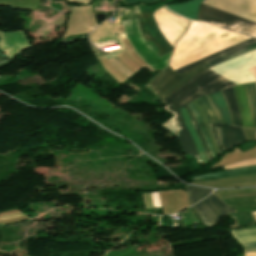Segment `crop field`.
I'll list each match as a JSON object with an SVG mask.
<instances>
[{"instance_id": "1", "label": "crop field", "mask_w": 256, "mask_h": 256, "mask_svg": "<svg viewBox=\"0 0 256 256\" xmlns=\"http://www.w3.org/2000/svg\"><path fill=\"white\" fill-rule=\"evenodd\" d=\"M250 37L222 30L209 24L193 22L179 42L170 66L173 70Z\"/></svg>"}, {"instance_id": "2", "label": "crop field", "mask_w": 256, "mask_h": 256, "mask_svg": "<svg viewBox=\"0 0 256 256\" xmlns=\"http://www.w3.org/2000/svg\"><path fill=\"white\" fill-rule=\"evenodd\" d=\"M253 49H256V41L221 54L204 63L207 64L209 67H212L224 60L251 51ZM204 63L196 66L195 68L191 69L190 71L186 72L181 76L174 73L170 68H166L148 85V87L162 100L171 93H173L175 90H177L179 87H181L192 77L209 68Z\"/></svg>"}, {"instance_id": "3", "label": "crop field", "mask_w": 256, "mask_h": 256, "mask_svg": "<svg viewBox=\"0 0 256 256\" xmlns=\"http://www.w3.org/2000/svg\"><path fill=\"white\" fill-rule=\"evenodd\" d=\"M237 85L215 70L209 68L192 78L173 94L162 100L165 104L172 103L181 108L190 101L203 95Z\"/></svg>"}, {"instance_id": "4", "label": "crop field", "mask_w": 256, "mask_h": 256, "mask_svg": "<svg viewBox=\"0 0 256 256\" xmlns=\"http://www.w3.org/2000/svg\"><path fill=\"white\" fill-rule=\"evenodd\" d=\"M122 23L127 39L139 57L155 70L164 69L172 51L159 57L143 38L137 19Z\"/></svg>"}, {"instance_id": "5", "label": "crop field", "mask_w": 256, "mask_h": 256, "mask_svg": "<svg viewBox=\"0 0 256 256\" xmlns=\"http://www.w3.org/2000/svg\"><path fill=\"white\" fill-rule=\"evenodd\" d=\"M198 18L221 27L256 37V24L210 6L200 5Z\"/></svg>"}, {"instance_id": "6", "label": "crop field", "mask_w": 256, "mask_h": 256, "mask_svg": "<svg viewBox=\"0 0 256 256\" xmlns=\"http://www.w3.org/2000/svg\"><path fill=\"white\" fill-rule=\"evenodd\" d=\"M191 208L207 227L215 226L221 216L235 212L213 193Z\"/></svg>"}, {"instance_id": "7", "label": "crop field", "mask_w": 256, "mask_h": 256, "mask_svg": "<svg viewBox=\"0 0 256 256\" xmlns=\"http://www.w3.org/2000/svg\"><path fill=\"white\" fill-rule=\"evenodd\" d=\"M163 108L166 109L171 114H173L174 116L170 118L162 126L176 135V137L180 142L183 152L195 157L198 163H202L197 154L193 141L190 137V134L186 128V125L182 119V116L179 110L171 104Z\"/></svg>"}, {"instance_id": "8", "label": "crop field", "mask_w": 256, "mask_h": 256, "mask_svg": "<svg viewBox=\"0 0 256 256\" xmlns=\"http://www.w3.org/2000/svg\"><path fill=\"white\" fill-rule=\"evenodd\" d=\"M215 137L220 152L246 142L242 129L223 124L209 125Z\"/></svg>"}, {"instance_id": "9", "label": "crop field", "mask_w": 256, "mask_h": 256, "mask_svg": "<svg viewBox=\"0 0 256 256\" xmlns=\"http://www.w3.org/2000/svg\"><path fill=\"white\" fill-rule=\"evenodd\" d=\"M0 49L12 60L22 50L31 48L23 31L0 32Z\"/></svg>"}, {"instance_id": "10", "label": "crop field", "mask_w": 256, "mask_h": 256, "mask_svg": "<svg viewBox=\"0 0 256 256\" xmlns=\"http://www.w3.org/2000/svg\"><path fill=\"white\" fill-rule=\"evenodd\" d=\"M234 89L242 115L243 127L254 128L244 84L235 86Z\"/></svg>"}, {"instance_id": "11", "label": "crop field", "mask_w": 256, "mask_h": 256, "mask_svg": "<svg viewBox=\"0 0 256 256\" xmlns=\"http://www.w3.org/2000/svg\"><path fill=\"white\" fill-rule=\"evenodd\" d=\"M253 174H256V166L227 170V171H222V172H218L210 175L196 176L194 181L215 180V179L231 178V177L253 175Z\"/></svg>"}, {"instance_id": "12", "label": "crop field", "mask_w": 256, "mask_h": 256, "mask_svg": "<svg viewBox=\"0 0 256 256\" xmlns=\"http://www.w3.org/2000/svg\"><path fill=\"white\" fill-rule=\"evenodd\" d=\"M221 92H222L224 100L231 112L233 125L242 127L241 115H240V111L238 108V104H237V100H236L233 88L232 87L227 88L225 90H222Z\"/></svg>"}, {"instance_id": "13", "label": "crop field", "mask_w": 256, "mask_h": 256, "mask_svg": "<svg viewBox=\"0 0 256 256\" xmlns=\"http://www.w3.org/2000/svg\"><path fill=\"white\" fill-rule=\"evenodd\" d=\"M200 1L201 0H192L184 4L171 5L168 6V8L192 20H198L196 19V15Z\"/></svg>"}, {"instance_id": "14", "label": "crop field", "mask_w": 256, "mask_h": 256, "mask_svg": "<svg viewBox=\"0 0 256 256\" xmlns=\"http://www.w3.org/2000/svg\"><path fill=\"white\" fill-rule=\"evenodd\" d=\"M181 114H182V116L184 118V121H185V123L187 125V128H188L190 134H191V137H192V139L194 141V144L196 146V149H197V151L199 153V156H200L203 164H207L208 162L206 160V156H205V153L203 151V148H202V146H201V144H200V142H199V140L197 138L195 130H194V128H193V126H192V124L190 122L189 116H188L187 112L185 111L184 107L181 109Z\"/></svg>"}, {"instance_id": "15", "label": "crop field", "mask_w": 256, "mask_h": 256, "mask_svg": "<svg viewBox=\"0 0 256 256\" xmlns=\"http://www.w3.org/2000/svg\"><path fill=\"white\" fill-rule=\"evenodd\" d=\"M231 233L239 243L256 241V226L233 231Z\"/></svg>"}, {"instance_id": "16", "label": "crop field", "mask_w": 256, "mask_h": 256, "mask_svg": "<svg viewBox=\"0 0 256 256\" xmlns=\"http://www.w3.org/2000/svg\"><path fill=\"white\" fill-rule=\"evenodd\" d=\"M185 189L191 205L205 198L209 193L212 192L208 189L193 186H186Z\"/></svg>"}, {"instance_id": "17", "label": "crop field", "mask_w": 256, "mask_h": 256, "mask_svg": "<svg viewBox=\"0 0 256 256\" xmlns=\"http://www.w3.org/2000/svg\"><path fill=\"white\" fill-rule=\"evenodd\" d=\"M210 97L213 99V101L215 102V104L217 105V107L219 108L221 114H222V117H223V121L225 123H228V124H231V117H230V113L227 109V106L223 100V97L221 95V92H216V93H213V94H210Z\"/></svg>"}, {"instance_id": "18", "label": "crop field", "mask_w": 256, "mask_h": 256, "mask_svg": "<svg viewBox=\"0 0 256 256\" xmlns=\"http://www.w3.org/2000/svg\"><path fill=\"white\" fill-rule=\"evenodd\" d=\"M254 40H256V39L251 38V39H249V40H246V41H244V42H241V43H239V44H236V45H234V46H232V47H230V48H227V49L222 50V51H220V52H218V53H215V54L210 55V56H208V57H206V58H203V59L198 60V61H196V62H194V63H191V64H189V65H187V66H184V67H182V68L176 70V72L181 75V74H183L184 72H186V71H188L189 69H191L192 67H194V66H196V65H198V64H200V63H202V62H204V61H206V60H208V59H210V58H212V57H215V56H217V55H219V54H221V53H224V52H226V51H229V50H231V49H233V48H236V47H238V46H241V45H243V44L252 42V41H254Z\"/></svg>"}, {"instance_id": "19", "label": "crop field", "mask_w": 256, "mask_h": 256, "mask_svg": "<svg viewBox=\"0 0 256 256\" xmlns=\"http://www.w3.org/2000/svg\"><path fill=\"white\" fill-rule=\"evenodd\" d=\"M245 86H246L248 99H249V103L252 111L254 126L256 128V84L250 83V84H245Z\"/></svg>"}, {"instance_id": "20", "label": "crop field", "mask_w": 256, "mask_h": 256, "mask_svg": "<svg viewBox=\"0 0 256 256\" xmlns=\"http://www.w3.org/2000/svg\"><path fill=\"white\" fill-rule=\"evenodd\" d=\"M196 102L199 104V106L201 107V109L203 110L205 115L207 116L209 123L218 122L217 119H216V116H215L209 102L205 98V96L196 99Z\"/></svg>"}, {"instance_id": "21", "label": "crop field", "mask_w": 256, "mask_h": 256, "mask_svg": "<svg viewBox=\"0 0 256 256\" xmlns=\"http://www.w3.org/2000/svg\"><path fill=\"white\" fill-rule=\"evenodd\" d=\"M194 127H195V130H196V132H197V134H198V136H199V139H200V141H201V143H202V146H203V148H204V151H205V153H206V155H207L208 160H211L212 157H211V155H210L209 149H208V147H207V144H206V142H205V140H204V138H203V136H202V133H201V131H200L198 125H194Z\"/></svg>"}, {"instance_id": "22", "label": "crop field", "mask_w": 256, "mask_h": 256, "mask_svg": "<svg viewBox=\"0 0 256 256\" xmlns=\"http://www.w3.org/2000/svg\"><path fill=\"white\" fill-rule=\"evenodd\" d=\"M199 127H200V129H201V131H202V133H203V136H204V138H205L207 144H208V147H209V149H210V152H211V154H212V157L217 156L216 153H215V151H214V149H213V147H212V145H211V143H210V140H209L208 134H207V132H206L205 126H204V125H201V126H199Z\"/></svg>"}, {"instance_id": "23", "label": "crop field", "mask_w": 256, "mask_h": 256, "mask_svg": "<svg viewBox=\"0 0 256 256\" xmlns=\"http://www.w3.org/2000/svg\"><path fill=\"white\" fill-rule=\"evenodd\" d=\"M189 106V108L193 111L194 115H195V118H196V121L198 124H203L202 123V119L198 113V111L196 110V108L194 107V105L191 103L187 104Z\"/></svg>"}, {"instance_id": "24", "label": "crop field", "mask_w": 256, "mask_h": 256, "mask_svg": "<svg viewBox=\"0 0 256 256\" xmlns=\"http://www.w3.org/2000/svg\"><path fill=\"white\" fill-rule=\"evenodd\" d=\"M206 98L208 99V101L210 102L211 106L213 107L214 111H215V114L217 116V119L219 122H223L222 119H221V115H220V112L219 110L217 109L216 105L214 104V102L211 100V98L209 97V95H206Z\"/></svg>"}, {"instance_id": "25", "label": "crop field", "mask_w": 256, "mask_h": 256, "mask_svg": "<svg viewBox=\"0 0 256 256\" xmlns=\"http://www.w3.org/2000/svg\"><path fill=\"white\" fill-rule=\"evenodd\" d=\"M160 0H122L124 4H129V3H138V2H147V3H154Z\"/></svg>"}, {"instance_id": "26", "label": "crop field", "mask_w": 256, "mask_h": 256, "mask_svg": "<svg viewBox=\"0 0 256 256\" xmlns=\"http://www.w3.org/2000/svg\"><path fill=\"white\" fill-rule=\"evenodd\" d=\"M11 62H12L11 60H9L7 57H5L3 59H0V66L7 65V64H9Z\"/></svg>"}, {"instance_id": "27", "label": "crop field", "mask_w": 256, "mask_h": 256, "mask_svg": "<svg viewBox=\"0 0 256 256\" xmlns=\"http://www.w3.org/2000/svg\"><path fill=\"white\" fill-rule=\"evenodd\" d=\"M184 107H185V109L187 110V112H188V114H189V116H190V118H191L193 124H197L196 121H195V119H194V116H193L191 110L188 108V106L186 105V106H184Z\"/></svg>"}, {"instance_id": "28", "label": "crop field", "mask_w": 256, "mask_h": 256, "mask_svg": "<svg viewBox=\"0 0 256 256\" xmlns=\"http://www.w3.org/2000/svg\"><path fill=\"white\" fill-rule=\"evenodd\" d=\"M244 248L256 247V242L242 244Z\"/></svg>"}, {"instance_id": "29", "label": "crop field", "mask_w": 256, "mask_h": 256, "mask_svg": "<svg viewBox=\"0 0 256 256\" xmlns=\"http://www.w3.org/2000/svg\"><path fill=\"white\" fill-rule=\"evenodd\" d=\"M72 3L74 2H79V3H84V4H89L90 3V0H68Z\"/></svg>"}, {"instance_id": "30", "label": "crop field", "mask_w": 256, "mask_h": 256, "mask_svg": "<svg viewBox=\"0 0 256 256\" xmlns=\"http://www.w3.org/2000/svg\"><path fill=\"white\" fill-rule=\"evenodd\" d=\"M245 252H256V248L244 249Z\"/></svg>"}, {"instance_id": "31", "label": "crop field", "mask_w": 256, "mask_h": 256, "mask_svg": "<svg viewBox=\"0 0 256 256\" xmlns=\"http://www.w3.org/2000/svg\"><path fill=\"white\" fill-rule=\"evenodd\" d=\"M255 131H256V129H255Z\"/></svg>"}]
</instances>
